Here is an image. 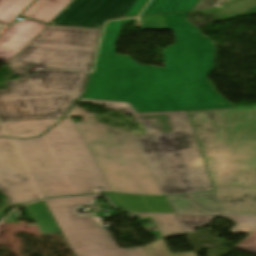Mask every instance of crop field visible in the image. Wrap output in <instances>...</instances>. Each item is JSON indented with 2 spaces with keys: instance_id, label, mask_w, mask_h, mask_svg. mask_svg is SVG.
I'll use <instances>...</instances> for the list:
<instances>
[{
  "instance_id": "8a807250",
  "label": "crop field",
  "mask_w": 256,
  "mask_h": 256,
  "mask_svg": "<svg viewBox=\"0 0 256 256\" xmlns=\"http://www.w3.org/2000/svg\"><path fill=\"white\" fill-rule=\"evenodd\" d=\"M185 13L141 17L143 29H173L175 44L163 51L165 68L115 55L121 23L104 27L94 72L83 98L129 102L138 113L233 107L207 76L214 68L212 40L184 19Z\"/></svg>"
},
{
  "instance_id": "ac0d7876",
  "label": "crop field",
  "mask_w": 256,
  "mask_h": 256,
  "mask_svg": "<svg viewBox=\"0 0 256 256\" xmlns=\"http://www.w3.org/2000/svg\"><path fill=\"white\" fill-rule=\"evenodd\" d=\"M100 29L47 26L6 65L20 79L8 80L0 90V121L63 118L79 99L89 71Z\"/></svg>"
},
{
  "instance_id": "34b2d1b8",
  "label": "crop field",
  "mask_w": 256,
  "mask_h": 256,
  "mask_svg": "<svg viewBox=\"0 0 256 256\" xmlns=\"http://www.w3.org/2000/svg\"><path fill=\"white\" fill-rule=\"evenodd\" d=\"M223 214H256V107L188 112Z\"/></svg>"
},
{
  "instance_id": "412701ff",
  "label": "crop field",
  "mask_w": 256,
  "mask_h": 256,
  "mask_svg": "<svg viewBox=\"0 0 256 256\" xmlns=\"http://www.w3.org/2000/svg\"><path fill=\"white\" fill-rule=\"evenodd\" d=\"M42 198L112 192L71 118L31 140L11 138Z\"/></svg>"
},
{
  "instance_id": "f4fd0767",
  "label": "crop field",
  "mask_w": 256,
  "mask_h": 256,
  "mask_svg": "<svg viewBox=\"0 0 256 256\" xmlns=\"http://www.w3.org/2000/svg\"><path fill=\"white\" fill-rule=\"evenodd\" d=\"M146 136H133L164 195L213 190L185 111L132 115Z\"/></svg>"
},
{
  "instance_id": "dd49c442",
  "label": "crop field",
  "mask_w": 256,
  "mask_h": 256,
  "mask_svg": "<svg viewBox=\"0 0 256 256\" xmlns=\"http://www.w3.org/2000/svg\"><path fill=\"white\" fill-rule=\"evenodd\" d=\"M81 118L75 125L112 191L163 195L128 131Z\"/></svg>"
},
{
  "instance_id": "e52e79f7",
  "label": "crop field",
  "mask_w": 256,
  "mask_h": 256,
  "mask_svg": "<svg viewBox=\"0 0 256 256\" xmlns=\"http://www.w3.org/2000/svg\"><path fill=\"white\" fill-rule=\"evenodd\" d=\"M92 197L46 200L55 221L75 256H147L143 247L120 249L107 229L93 217H79L74 209L92 202Z\"/></svg>"
},
{
  "instance_id": "d8731c3e",
  "label": "crop field",
  "mask_w": 256,
  "mask_h": 256,
  "mask_svg": "<svg viewBox=\"0 0 256 256\" xmlns=\"http://www.w3.org/2000/svg\"><path fill=\"white\" fill-rule=\"evenodd\" d=\"M134 0H75L51 24L101 27L108 19L123 17Z\"/></svg>"
},
{
  "instance_id": "5a996713",
  "label": "crop field",
  "mask_w": 256,
  "mask_h": 256,
  "mask_svg": "<svg viewBox=\"0 0 256 256\" xmlns=\"http://www.w3.org/2000/svg\"><path fill=\"white\" fill-rule=\"evenodd\" d=\"M45 27L28 20L12 27L0 38V61L7 63Z\"/></svg>"
},
{
  "instance_id": "3316defc",
  "label": "crop field",
  "mask_w": 256,
  "mask_h": 256,
  "mask_svg": "<svg viewBox=\"0 0 256 256\" xmlns=\"http://www.w3.org/2000/svg\"><path fill=\"white\" fill-rule=\"evenodd\" d=\"M30 182L12 148L0 149V193L6 194Z\"/></svg>"
},
{
  "instance_id": "28ad6ade",
  "label": "crop field",
  "mask_w": 256,
  "mask_h": 256,
  "mask_svg": "<svg viewBox=\"0 0 256 256\" xmlns=\"http://www.w3.org/2000/svg\"><path fill=\"white\" fill-rule=\"evenodd\" d=\"M166 199L173 213L222 214L214 192Z\"/></svg>"
},
{
  "instance_id": "d1516ede",
  "label": "crop field",
  "mask_w": 256,
  "mask_h": 256,
  "mask_svg": "<svg viewBox=\"0 0 256 256\" xmlns=\"http://www.w3.org/2000/svg\"><path fill=\"white\" fill-rule=\"evenodd\" d=\"M179 223L181 224L184 232H194L198 226H206L214 216H189V215H176ZM229 218L237 223L230 232L250 234L256 229V217L249 216H222Z\"/></svg>"
},
{
  "instance_id": "22f410ed",
  "label": "crop field",
  "mask_w": 256,
  "mask_h": 256,
  "mask_svg": "<svg viewBox=\"0 0 256 256\" xmlns=\"http://www.w3.org/2000/svg\"><path fill=\"white\" fill-rule=\"evenodd\" d=\"M114 195L124 211L172 213L165 197H142L117 193Z\"/></svg>"
},
{
  "instance_id": "cbeb9de0",
  "label": "crop field",
  "mask_w": 256,
  "mask_h": 256,
  "mask_svg": "<svg viewBox=\"0 0 256 256\" xmlns=\"http://www.w3.org/2000/svg\"><path fill=\"white\" fill-rule=\"evenodd\" d=\"M198 13L223 21L256 13V0H236L215 9Z\"/></svg>"
},
{
  "instance_id": "5142ce71",
  "label": "crop field",
  "mask_w": 256,
  "mask_h": 256,
  "mask_svg": "<svg viewBox=\"0 0 256 256\" xmlns=\"http://www.w3.org/2000/svg\"><path fill=\"white\" fill-rule=\"evenodd\" d=\"M60 119L1 122L8 136L28 138L40 135Z\"/></svg>"
},
{
  "instance_id": "d9b57169",
  "label": "crop field",
  "mask_w": 256,
  "mask_h": 256,
  "mask_svg": "<svg viewBox=\"0 0 256 256\" xmlns=\"http://www.w3.org/2000/svg\"><path fill=\"white\" fill-rule=\"evenodd\" d=\"M42 235L59 233L61 230L52 218L45 202L26 205Z\"/></svg>"
},
{
  "instance_id": "733c2abd",
  "label": "crop field",
  "mask_w": 256,
  "mask_h": 256,
  "mask_svg": "<svg viewBox=\"0 0 256 256\" xmlns=\"http://www.w3.org/2000/svg\"><path fill=\"white\" fill-rule=\"evenodd\" d=\"M198 1L199 0H152L141 15L192 10Z\"/></svg>"
},
{
  "instance_id": "4a817a6b",
  "label": "crop field",
  "mask_w": 256,
  "mask_h": 256,
  "mask_svg": "<svg viewBox=\"0 0 256 256\" xmlns=\"http://www.w3.org/2000/svg\"><path fill=\"white\" fill-rule=\"evenodd\" d=\"M139 218L152 217L163 238L185 234L175 215H138Z\"/></svg>"
},
{
  "instance_id": "bc2a9ffb",
  "label": "crop field",
  "mask_w": 256,
  "mask_h": 256,
  "mask_svg": "<svg viewBox=\"0 0 256 256\" xmlns=\"http://www.w3.org/2000/svg\"><path fill=\"white\" fill-rule=\"evenodd\" d=\"M72 0H48L29 19L38 20L49 24Z\"/></svg>"
},
{
  "instance_id": "214f88e0",
  "label": "crop field",
  "mask_w": 256,
  "mask_h": 256,
  "mask_svg": "<svg viewBox=\"0 0 256 256\" xmlns=\"http://www.w3.org/2000/svg\"><path fill=\"white\" fill-rule=\"evenodd\" d=\"M34 0H0V23L8 25Z\"/></svg>"
},
{
  "instance_id": "92a150f3",
  "label": "crop field",
  "mask_w": 256,
  "mask_h": 256,
  "mask_svg": "<svg viewBox=\"0 0 256 256\" xmlns=\"http://www.w3.org/2000/svg\"><path fill=\"white\" fill-rule=\"evenodd\" d=\"M80 102L104 104L106 109L122 111L123 114H134L137 113L129 103L123 102H111V101H99V100H87L81 99ZM77 103L71 112L66 117L72 116H95V114L87 113L77 107Z\"/></svg>"
},
{
  "instance_id": "dafd665d",
  "label": "crop field",
  "mask_w": 256,
  "mask_h": 256,
  "mask_svg": "<svg viewBox=\"0 0 256 256\" xmlns=\"http://www.w3.org/2000/svg\"><path fill=\"white\" fill-rule=\"evenodd\" d=\"M4 196H6V202H7L8 208L39 198L31 182Z\"/></svg>"
},
{
  "instance_id": "00972430",
  "label": "crop field",
  "mask_w": 256,
  "mask_h": 256,
  "mask_svg": "<svg viewBox=\"0 0 256 256\" xmlns=\"http://www.w3.org/2000/svg\"><path fill=\"white\" fill-rule=\"evenodd\" d=\"M148 256H197L195 252L172 254L162 241H157L144 246Z\"/></svg>"
},
{
  "instance_id": "a9b5d70f",
  "label": "crop field",
  "mask_w": 256,
  "mask_h": 256,
  "mask_svg": "<svg viewBox=\"0 0 256 256\" xmlns=\"http://www.w3.org/2000/svg\"><path fill=\"white\" fill-rule=\"evenodd\" d=\"M234 249L256 254V230L252 232L246 239H244Z\"/></svg>"
},
{
  "instance_id": "4177f3b9",
  "label": "crop field",
  "mask_w": 256,
  "mask_h": 256,
  "mask_svg": "<svg viewBox=\"0 0 256 256\" xmlns=\"http://www.w3.org/2000/svg\"><path fill=\"white\" fill-rule=\"evenodd\" d=\"M148 1L149 0H136L127 11L124 18L138 16Z\"/></svg>"
},
{
  "instance_id": "730fd06b",
  "label": "crop field",
  "mask_w": 256,
  "mask_h": 256,
  "mask_svg": "<svg viewBox=\"0 0 256 256\" xmlns=\"http://www.w3.org/2000/svg\"><path fill=\"white\" fill-rule=\"evenodd\" d=\"M232 0H200L193 10L210 9L214 6L227 3Z\"/></svg>"
},
{
  "instance_id": "eef30255",
  "label": "crop field",
  "mask_w": 256,
  "mask_h": 256,
  "mask_svg": "<svg viewBox=\"0 0 256 256\" xmlns=\"http://www.w3.org/2000/svg\"><path fill=\"white\" fill-rule=\"evenodd\" d=\"M46 0L35 1L26 11H24L21 16L28 17L32 12H34L43 2Z\"/></svg>"
},
{
  "instance_id": "ae1a2a85",
  "label": "crop field",
  "mask_w": 256,
  "mask_h": 256,
  "mask_svg": "<svg viewBox=\"0 0 256 256\" xmlns=\"http://www.w3.org/2000/svg\"><path fill=\"white\" fill-rule=\"evenodd\" d=\"M11 147L10 143L8 142L7 138L0 139V148Z\"/></svg>"
},
{
  "instance_id": "d3111659",
  "label": "crop field",
  "mask_w": 256,
  "mask_h": 256,
  "mask_svg": "<svg viewBox=\"0 0 256 256\" xmlns=\"http://www.w3.org/2000/svg\"><path fill=\"white\" fill-rule=\"evenodd\" d=\"M107 196H108V198L111 199V201H112V203H113L114 205H116L119 209H121V207H120L119 204L117 203V201H116V199H115L113 193L107 194Z\"/></svg>"
},
{
  "instance_id": "750c4746",
  "label": "crop field",
  "mask_w": 256,
  "mask_h": 256,
  "mask_svg": "<svg viewBox=\"0 0 256 256\" xmlns=\"http://www.w3.org/2000/svg\"><path fill=\"white\" fill-rule=\"evenodd\" d=\"M0 136H5V134H4V132H3L2 128H1V126H0Z\"/></svg>"
}]
</instances>
